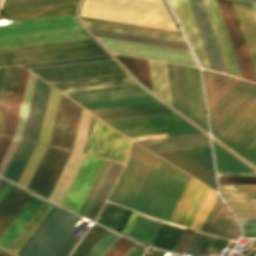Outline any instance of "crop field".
I'll list each match as a JSON object with an SVG mask.
<instances>
[{"instance_id": "447ae74e", "label": "crop field", "mask_w": 256, "mask_h": 256, "mask_svg": "<svg viewBox=\"0 0 256 256\" xmlns=\"http://www.w3.org/2000/svg\"><path fill=\"white\" fill-rule=\"evenodd\" d=\"M236 218H256V204H228Z\"/></svg>"}, {"instance_id": "c035e120", "label": "crop field", "mask_w": 256, "mask_h": 256, "mask_svg": "<svg viewBox=\"0 0 256 256\" xmlns=\"http://www.w3.org/2000/svg\"><path fill=\"white\" fill-rule=\"evenodd\" d=\"M19 66L6 67L0 89V132L2 133Z\"/></svg>"}, {"instance_id": "cbeb9de0", "label": "crop field", "mask_w": 256, "mask_h": 256, "mask_svg": "<svg viewBox=\"0 0 256 256\" xmlns=\"http://www.w3.org/2000/svg\"><path fill=\"white\" fill-rule=\"evenodd\" d=\"M132 141L95 120L87 154L124 163Z\"/></svg>"}, {"instance_id": "5142ce71", "label": "crop field", "mask_w": 256, "mask_h": 256, "mask_svg": "<svg viewBox=\"0 0 256 256\" xmlns=\"http://www.w3.org/2000/svg\"><path fill=\"white\" fill-rule=\"evenodd\" d=\"M69 154L48 146L27 189L47 199Z\"/></svg>"}, {"instance_id": "db79e9e6", "label": "crop field", "mask_w": 256, "mask_h": 256, "mask_svg": "<svg viewBox=\"0 0 256 256\" xmlns=\"http://www.w3.org/2000/svg\"><path fill=\"white\" fill-rule=\"evenodd\" d=\"M237 220L242 229V237H256V219Z\"/></svg>"}, {"instance_id": "c3a83c6f", "label": "crop field", "mask_w": 256, "mask_h": 256, "mask_svg": "<svg viewBox=\"0 0 256 256\" xmlns=\"http://www.w3.org/2000/svg\"><path fill=\"white\" fill-rule=\"evenodd\" d=\"M11 183H7V185L4 187V189L0 192V199L4 196V194L8 191V189L11 187Z\"/></svg>"}, {"instance_id": "7b73153f", "label": "crop field", "mask_w": 256, "mask_h": 256, "mask_svg": "<svg viewBox=\"0 0 256 256\" xmlns=\"http://www.w3.org/2000/svg\"><path fill=\"white\" fill-rule=\"evenodd\" d=\"M219 184H256V177H218Z\"/></svg>"}, {"instance_id": "028f5c9d", "label": "crop field", "mask_w": 256, "mask_h": 256, "mask_svg": "<svg viewBox=\"0 0 256 256\" xmlns=\"http://www.w3.org/2000/svg\"><path fill=\"white\" fill-rule=\"evenodd\" d=\"M95 36L190 51L187 44L88 28Z\"/></svg>"}, {"instance_id": "00972430", "label": "crop field", "mask_w": 256, "mask_h": 256, "mask_svg": "<svg viewBox=\"0 0 256 256\" xmlns=\"http://www.w3.org/2000/svg\"><path fill=\"white\" fill-rule=\"evenodd\" d=\"M50 86L36 79L30 108L23 132V139L37 142Z\"/></svg>"}, {"instance_id": "f0312440", "label": "crop field", "mask_w": 256, "mask_h": 256, "mask_svg": "<svg viewBox=\"0 0 256 256\" xmlns=\"http://www.w3.org/2000/svg\"><path fill=\"white\" fill-rule=\"evenodd\" d=\"M0 137H1V135H0Z\"/></svg>"}, {"instance_id": "92a150f3", "label": "crop field", "mask_w": 256, "mask_h": 256, "mask_svg": "<svg viewBox=\"0 0 256 256\" xmlns=\"http://www.w3.org/2000/svg\"><path fill=\"white\" fill-rule=\"evenodd\" d=\"M81 27L75 16H62L0 25V36Z\"/></svg>"}, {"instance_id": "4177f3b9", "label": "crop field", "mask_w": 256, "mask_h": 256, "mask_svg": "<svg viewBox=\"0 0 256 256\" xmlns=\"http://www.w3.org/2000/svg\"><path fill=\"white\" fill-rule=\"evenodd\" d=\"M231 1L256 73V16L252 4Z\"/></svg>"}, {"instance_id": "7312dd0a", "label": "crop field", "mask_w": 256, "mask_h": 256, "mask_svg": "<svg viewBox=\"0 0 256 256\" xmlns=\"http://www.w3.org/2000/svg\"><path fill=\"white\" fill-rule=\"evenodd\" d=\"M0 256H11V254L0 249Z\"/></svg>"}, {"instance_id": "b54c1fbb", "label": "crop field", "mask_w": 256, "mask_h": 256, "mask_svg": "<svg viewBox=\"0 0 256 256\" xmlns=\"http://www.w3.org/2000/svg\"><path fill=\"white\" fill-rule=\"evenodd\" d=\"M148 64L153 92L171 104L165 64L150 61Z\"/></svg>"}, {"instance_id": "180be81f", "label": "crop field", "mask_w": 256, "mask_h": 256, "mask_svg": "<svg viewBox=\"0 0 256 256\" xmlns=\"http://www.w3.org/2000/svg\"><path fill=\"white\" fill-rule=\"evenodd\" d=\"M253 4V7H254V10H255V13H256V3H252Z\"/></svg>"}, {"instance_id": "1d83c4d3", "label": "crop field", "mask_w": 256, "mask_h": 256, "mask_svg": "<svg viewBox=\"0 0 256 256\" xmlns=\"http://www.w3.org/2000/svg\"><path fill=\"white\" fill-rule=\"evenodd\" d=\"M84 155L71 153L50 197L49 200L60 205L71 181L73 180Z\"/></svg>"}, {"instance_id": "e1d0b9f6", "label": "crop field", "mask_w": 256, "mask_h": 256, "mask_svg": "<svg viewBox=\"0 0 256 256\" xmlns=\"http://www.w3.org/2000/svg\"><path fill=\"white\" fill-rule=\"evenodd\" d=\"M11 140H12V137L2 135V137L0 139V161H1L5 151L7 150Z\"/></svg>"}, {"instance_id": "819c52e7", "label": "crop field", "mask_w": 256, "mask_h": 256, "mask_svg": "<svg viewBox=\"0 0 256 256\" xmlns=\"http://www.w3.org/2000/svg\"><path fill=\"white\" fill-rule=\"evenodd\" d=\"M13 256V255H12Z\"/></svg>"}, {"instance_id": "5d738f31", "label": "crop field", "mask_w": 256, "mask_h": 256, "mask_svg": "<svg viewBox=\"0 0 256 256\" xmlns=\"http://www.w3.org/2000/svg\"><path fill=\"white\" fill-rule=\"evenodd\" d=\"M216 158L217 171H253L232 154L212 141Z\"/></svg>"}, {"instance_id": "d14b1444", "label": "crop field", "mask_w": 256, "mask_h": 256, "mask_svg": "<svg viewBox=\"0 0 256 256\" xmlns=\"http://www.w3.org/2000/svg\"><path fill=\"white\" fill-rule=\"evenodd\" d=\"M193 233L194 230L186 228L177 246L183 249V247L185 246V244L190 239Z\"/></svg>"}, {"instance_id": "d32e631a", "label": "crop field", "mask_w": 256, "mask_h": 256, "mask_svg": "<svg viewBox=\"0 0 256 256\" xmlns=\"http://www.w3.org/2000/svg\"><path fill=\"white\" fill-rule=\"evenodd\" d=\"M43 199L33 195L29 202L25 205L22 211L18 214L15 220L7 228L4 234L0 237V247L6 249L10 242L14 239L17 233L21 230L24 224L32 216L35 210L42 203Z\"/></svg>"}, {"instance_id": "d23c7cc5", "label": "crop field", "mask_w": 256, "mask_h": 256, "mask_svg": "<svg viewBox=\"0 0 256 256\" xmlns=\"http://www.w3.org/2000/svg\"><path fill=\"white\" fill-rule=\"evenodd\" d=\"M231 149L256 167V124Z\"/></svg>"}, {"instance_id": "120bbe31", "label": "crop field", "mask_w": 256, "mask_h": 256, "mask_svg": "<svg viewBox=\"0 0 256 256\" xmlns=\"http://www.w3.org/2000/svg\"><path fill=\"white\" fill-rule=\"evenodd\" d=\"M74 6L75 4L46 7V8H37V9H28V10H19V11H11V12H2L0 13V19L14 18V21H18V20L53 17V16H61V15H70V14H74Z\"/></svg>"}, {"instance_id": "0f1d7ab4", "label": "crop field", "mask_w": 256, "mask_h": 256, "mask_svg": "<svg viewBox=\"0 0 256 256\" xmlns=\"http://www.w3.org/2000/svg\"><path fill=\"white\" fill-rule=\"evenodd\" d=\"M81 19L90 20V21H96V22L109 23V24L122 25V26H128V27L141 28V29H147V30H154V31H160V32H167V33H173V34L181 35V33H177V32H171V31H165V30H159V29H152V28H146V27H140V26H134V25H127V24H121V23H115V22H109V21H102V20H96V19H90V18H84V17H81Z\"/></svg>"}, {"instance_id": "412701ff", "label": "crop field", "mask_w": 256, "mask_h": 256, "mask_svg": "<svg viewBox=\"0 0 256 256\" xmlns=\"http://www.w3.org/2000/svg\"><path fill=\"white\" fill-rule=\"evenodd\" d=\"M79 219L55 206L18 256H67L79 239L72 234Z\"/></svg>"}, {"instance_id": "e1f06a70", "label": "crop field", "mask_w": 256, "mask_h": 256, "mask_svg": "<svg viewBox=\"0 0 256 256\" xmlns=\"http://www.w3.org/2000/svg\"><path fill=\"white\" fill-rule=\"evenodd\" d=\"M86 27L186 43L183 36L82 20Z\"/></svg>"}, {"instance_id": "4a817a6b", "label": "crop field", "mask_w": 256, "mask_h": 256, "mask_svg": "<svg viewBox=\"0 0 256 256\" xmlns=\"http://www.w3.org/2000/svg\"><path fill=\"white\" fill-rule=\"evenodd\" d=\"M103 163V160L85 156L74 180L72 181L61 203V206L78 214Z\"/></svg>"}, {"instance_id": "1f2cbd36", "label": "crop field", "mask_w": 256, "mask_h": 256, "mask_svg": "<svg viewBox=\"0 0 256 256\" xmlns=\"http://www.w3.org/2000/svg\"><path fill=\"white\" fill-rule=\"evenodd\" d=\"M47 146L37 144L19 181L18 184L27 187L36 167L38 166Z\"/></svg>"}, {"instance_id": "dbb93151", "label": "crop field", "mask_w": 256, "mask_h": 256, "mask_svg": "<svg viewBox=\"0 0 256 256\" xmlns=\"http://www.w3.org/2000/svg\"><path fill=\"white\" fill-rule=\"evenodd\" d=\"M106 229L94 225L88 234L79 243L72 256H85L86 253L92 248V246L98 241V239L104 234Z\"/></svg>"}, {"instance_id": "b80d0937", "label": "crop field", "mask_w": 256, "mask_h": 256, "mask_svg": "<svg viewBox=\"0 0 256 256\" xmlns=\"http://www.w3.org/2000/svg\"><path fill=\"white\" fill-rule=\"evenodd\" d=\"M35 143L21 140L13 158L11 159L3 177L17 182Z\"/></svg>"}, {"instance_id": "9d1cf04e", "label": "crop field", "mask_w": 256, "mask_h": 256, "mask_svg": "<svg viewBox=\"0 0 256 256\" xmlns=\"http://www.w3.org/2000/svg\"><path fill=\"white\" fill-rule=\"evenodd\" d=\"M112 59L109 56L22 65L27 69Z\"/></svg>"}, {"instance_id": "214f88e0", "label": "crop field", "mask_w": 256, "mask_h": 256, "mask_svg": "<svg viewBox=\"0 0 256 256\" xmlns=\"http://www.w3.org/2000/svg\"><path fill=\"white\" fill-rule=\"evenodd\" d=\"M88 38L82 28L0 37V48Z\"/></svg>"}, {"instance_id": "bc2a9ffb", "label": "crop field", "mask_w": 256, "mask_h": 256, "mask_svg": "<svg viewBox=\"0 0 256 256\" xmlns=\"http://www.w3.org/2000/svg\"><path fill=\"white\" fill-rule=\"evenodd\" d=\"M123 165L105 161L79 215L95 220Z\"/></svg>"}, {"instance_id": "c21b1889", "label": "crop field", "mask_w": 256, "mask_h": 256, "mask_svg": "<svg viewBox=\"0 0 256 256\" xmlns=\"http://www.w3.org/2000/svg\"><path fill=\"white\" fill-rule=\"evenodd\" d=\"M256 123V104L219 140L230 148Z\"/></svg>"}, {"instance_id": "a9b5d70f", "label": "crop field", "mask_w": 256, "mask_h": 256, "mask_svg": "<svg viewBox=\"0 0 256 256\" xmlns=\"http://www.w3.org/2000/svg\"><path fill=\"white\" fill-rule=\"evenodd\" d=\"M201 231L237 240L238 228L219 195L208 214Z\"/></svg>"}, {"instance_id": "5a996713", "label": "crop field", "mask_w": 256, "mask_h": 256, "mask_svg": "<svg viewBox=\"0 0 256 256\" xmlns=\"http://www.w3.org/2000/svg\"><path fill=\"white\" fill-rule=\"evenodd\" d=\"M63 93L87 110L158 101L137 84Z\"/></svg>"}, {"instance_id": "e52e79f7", "label": "crop field", "mask_w": 256, "mask_h": 256, "mask_svg": "<svg viewBox=\"0 0 256 256\" xmlns=\"http://www.w3.org/2000/svg\"><path fill=\"white\" fill-rule=\"evenodd\" d=\"M157 158L133 143L127 163L108 200L132 209Z\"/></svg>"}, {"instance_id": "425ffa30", "label": "crop field", "mask_w": 256, "mask_h": 256, "mask_svg": "<svg viewBox=\"0 0 256 256\" xmlns=\"http://www.w3.org/2000/svg\"><path fill=\"white\" fill-rule=\"evenodd\" d=\"M145 86L151 88L147 61L116 56Z\"/></svg>"}, {"instance_id": "730fd06b", "label": "crop field", "mask_w": 256, "mask_h": 256, "mask_svg": "<svg viewBox=\"0 0 256 256\" xmlns=\"http://www.w3.org/2000/svg\"><path fill=\"white\" fill-rule=\"evenodd\" d=\"M33 194L12 185L0 201V236L21 211Z\"/></svg>"}, {"instance_id": "dd49c442", "label": "crop field", "mask_w": 256, "mask_h": 256, "mask_svg": "<svg viewBox=\"0 0 256 256\" xmlns=\"http://www.w3.org/2000/svg\"><path fill=\"white\" fill-rule=\"evenodd\" d=\"M106 54L90 39L0 49V66Z\"/></svg>"}, {"instance_id": "8a807250", "label": "crop field", "mask_w": 256, "mask_h": 256, "mask_svg": "<svg viewBox=\"0 0 256 256\" xmlns=\"http://www.w3.org/2000/svg\"><path fill=\"white\" fill-rule=\"evenodd\" d=\"M168 2L182 30L184 31L201 67L209 68V65H210V68L212 70H215L218 72L222 70L225 73H227V70H228V73L230 75L241 77L238 65L236 63V60H235V57H234V54H233L229 39L227 37L215 0H204V3L206 6L208 15L210 17L227 70H226L222 55L220 53L203 0H187V2L190 8L193 20L195 22L200 40L202 42L207 60L209 62V65L206 60V57H205L201 42L199 40L186 0H168Z\"/></svg>"}, {"instance_id": "d9b57169", "label": "crop field", "mask_w": 256, "mask_h": 256, "mask_svg": "<svg viewBox=\"0 0 256 256\" xmlns=\"http://www.w3.org/2000/svg\"><path fill=\"white\" fill-rule=\"evenodd\" d=\"M243 79L256 82V76L230 0H216Z\"/></svg>"}, {"instance_id": "d1516ede", "label": "crop field", "mask_w": 256, "mask_h": 256, "mask_svg": "<svg viewBox=\"0 0 256 256\" xmlns=\"http://www.w3.org/2000/svg\"><path fill=\"white\" fill-rule=\"evenodd\" d=\"M154 153L217 191L210 146Z\"/></svg>"}, {"instance_id": "89e229c0", "label": "crop field", "mask_w": 256, "mask_h": 256, "mask_svg": "<svg viewBox=\"0 0 256 256\" xmlns=\"http://www.w3.org/2000/svg\"><path fill=\"white\" fill-rule=\"evenodd\" d=\"M35 79H36V76H34L33 74L30 73L28 82H27V86H26V90H25V94H24V98H23V102H22V106H21V110H20V114H19V118H18V122H17V126H16V130H15V134H14V136H16V137L21 138V136H22V132H23V128H24V124H25V120H26V116H27V112H28V107H29Z\"/></svg>"}, {"instance_id": "c39391a2", "label": "crop field", "mask_w": 256, "mask_h": 256, "mask_svg": "<svg viewBox=\"0 0 256 256\" xmlns=\"http://www.w3.org/2000/svg\"><path fill=\"white\" fill-rule=\"evenodd\" d=\"M218 176H256V172H217Z\"/></svg>"}, {"instance_id": "25e5ab78", "label": "crop field", "mask_w": 256, "mask_h": 256, "mask_svg": "<svg viewBox=\"0 0 256 256\" xmlns=\"http://www.w3.org/2000/svg\"><path fill=\"white\" fill-rule=\"evenodd\" d=\"M126 209L106 202L99 218L98 222H101L115 230H117Z\"/></svg>"}, {"instance_id": "ae1a2a85", "label": "crop field", "mask_w": 256, "mask_h": 256, "mask_svg": "<svg viewBox=\"0 0 256 256\" xmlns=\"http://www.w3.org/2000/svg\"><path fill=\"white\" fill-rule=\"evenodd\" d=\"M135 83L127 74L51 82L60 91Z\"/></svg>"}, {"instance_id": "733c2abd", "label": "crop field", "mask_w": 256, "mask_h": 256, "mask_svg": "<svg viewBox=\"0 0 256 256\" xmlns=\"http://www.w3.org/2000/svg\"><path fill=\"white\" fill-rule=\"evenodd\" d=\"M81 111L82 108L61 96L49 145L72 151Z\"/></svg>"}, {"instance_id": "0765c3eb", "label": "crop field", "mask_w": 256, "mask_h": 256, "mask_svg": "<svg viewBox=\"0 0 256 256\" xmlns=\"http://www.w3.org/2000/svg\"><path fill=\"white\" fill-rule=\"evenodd\" d=\"M133 244L134 242L121 236L105 256H124Z\"/></svg>"}, {"instance_id": "0bd39190", "label": "crop field", "mask_w": 256, "mask_h": 256, "mask_svg": "<svg viewBox=\"0 0 256 256\" xmlns=\"http://www.w3.org/2000/svg\"><path fill=\"white\" fill-rule=\"evenodd\" d=\"M226 203H256V185H219Z\"/></svg>"}, {"instance_id": "fb207236", "label": "crop field", "mask_w": 256, "mask_h": 256, "mask_svg": "<svg viewBox=\"0 0 256 256\" xmlns=\"http://www.w3.org/2000/svg\"><path fill=\"white\" fill-rule=\"evenodd\" d=\"M7 181L0 179V191L3 189V187L6 185Z\"/></svg>"}, {"instance_id": "bd1437ed", "label": "crop field", "mask_w": 256, "mask_h": 256, "mask_svg": "<svg viewBox=\"0 0 256 256\" xmlns=\"http://www.w3.org/2000/svg\"><path fill=\"white\" fill-rule=\"evenodd\" d=\"M28 74H29V72L27 70H25L22 67L19 68V72H18V76H17V80H16V84H15V88H14V92H13V96H12V100H11L5 128H4V132H3L4 134H8V135H12V136L14 134V130H15V126H16V122H17V118H18V114H19V110H20V106H21V102H22V98H23V94H24V90H25V86H26V82H27V78H28Z\"/></svg>"}, {"instance_id": "34b2d1b8", "label": "crop field", "mask_w": 256, "mask_h": 256, "mask_svg": "<svg viewBox=\"0 0 256 256\" xmlns=\"http://www.w3.org/2000/svg\"><path fill=\"white\" fill-rule=\"evenodd\" d=\"M189 177L158 159L134 210L168 221Z\"/></svg>"}, {"instance_id": "c5b07064", "label": "crop field", "mask_w": 256, "mask_h": 256, "mask_svg": "<svg viewBox=\"0 0 256 256\" xmlns=\"http://www.w3.org/2000/svg\"><path fill=\"white\" fill-rule=\"evenodd\" d=\"M136 214H137V213H135V212L132 213V215H131V217H130V219H129V221H128V223H127V225H126V227H125V229H124V231H123V234H125V235L127 234V232H128V230H129V228H130V226H131V224H132V222H133V220H134Z\"/></svg>"}, {"instance_id": "28ad6ade", "label": "crop field", "mask_w": 256, "mask_h": 256, "mask_svg": "<svg viewBox=\"0 0 256 256\" xmlns=\"http://www.w3.org/2000/svg\"><path fill=\"white\" fill-rule=\"evenodd\" d=\"M217 195L190 177L169 222L200 230Z\"/></svg>"}, {"instance_id": "d8731c3e", "label": "crop field", "mask_w": 256, "mask_h": 256, "mask_svg": "<svg viewBox=\"0 0 256 256\" xmlns=\"http://www.w3.org/2000/svg\"><path fill=\"white\" fill-rule=\"evenodd\" d=\"M256 103V84L240 81L210 111L211 134L218 139Z\"/></svg>"}, {"instance_id": "22f410ed", "label": "crop field", "mask_w": 256, "mask_h": 256, "mask_svg": "<svg viewBox=\"0 0 256 256\" xmlns=\"http://www.w3.org/2000/svg\"><path fill=\"white\" fill-rule=\"evenodd\" d=\"M96 38L113 53L198 67L191 52Z\"/></svg>"}, {"instance_id": "1d79db26", "label": "crop field", "mask_w": 256, "mask_h": 256, "mask_svg": "<svg viewBox=\"0 0 256 256\" xmlns=\"http://www.w3.org/2000/svg\"><path fill=\"white\" fill-rule=\"evenodd\" d=\"M90 117H91V114H89L85 110L82 111L80 124H79V128H78L77 136H76V141H75V145H74V149H73V151H75V152L82 153V151H83Z\"/></svg>"}, {"instance_id": "0fb4a251", "label": "crop field", "mask_w": 256, "mask_h": 256, "mask_svg": "<svg viewBox=\"0 0 256 256\" xmlns=\"http://www.w3.org/2000/svg\"><path fill=\"white\" fill-rule=\"evenodd\" d=\"M119 237L120 235L107 230L86 256H104Z\"/></svg>"}, {"instance_id": "d3111659", "label": "crop field", "mask_w": 256, "mask_h": 256, "mask_svg": "<svg viewBox=\"0 0 256 256\" xmlns=\"http://www.w3.org/2000/svg\"><path fill=\"white\" fill-rule=\"evenodd\" d=\"M54 206L44 200L6 250L17 255Z\"/></svg>"}, {"instance_id": "ade564c9", "label": "crop field", "mask_w": 256, "mask_h": 256, "mask_svg": "<svg viewBox=\"0 0 256 256\" xmlns=\"http://www.w3.org/2000/svg\"><path fill=\"white\" fill-rule=\"evenodd\" d=\"M94 120H95V117L92 116L91 117V121H90V125H89V130H88L87 138H86V143H85L84 151H83V153H85V154L87 152V148H88V144H89V140H90V136H91Z\"/></svg>"}, {"instance_id": "78b8030e", "label": "crop field", "mask_w": 256, "mask_h": 256, "mask_svg": "<svg viewBox=\"0 0 256 256\" xmlns=\"http://www.w3.org/2000/svg\"><path fill=\"white\" fill-rule=\"evenodd\" d=\"M20 140L19 139H15L13 138L5 156L3 157L1 163H0V177H2L10 159L12 158L18 144H19Z\"/></svg>"}, {"instance_id": "03da06ac", "label": "crop field", "mask_w": 256, "mask_h": 256, "mask_svg": "<svg viewBox=\"0 0 256 256\" xmlns=\"http://www.w3.org/2000/svg\"><path fill=\"white\" fill-rule=\"evenodd\" d=\"M60 95L61 93H59L58 91L54 90L53 88L50 89L45 115L38 140L39 143L47 145L49 143Z\"/></svg>"}, {"instance_id": "eef30255", "label": "crop field", "mask_w": 256, "mask_h": 256, "mask_svg": "<svg viewBox=\"0 0 256 256\" xmlns=\"http://www.w3.org/2000/svg\"><path fill=\"white\" fill-rule=\"evenodd\" d=\"M202 73L209 110L240 81L208 70Z\"/></svg>"}, {"instance_id": "73cf0c24", "label": "crop field", "mask_w": 256, "mask_h": 256, "mask_svg": "<svg viewBox=\"0 0 256 256\" xmlns=\"http://www.w3.org/2000/svg\"><path fill=\"white\" fill-rule=\"evenodd\" d=\"M214 239L215 236L195 231L191 239L184 247V250L192 254H199L204 256Z\"/></svg>"}, {"instance_id": "3316defc", "label": "crop field", "mask_w": 256, "mask_h": 256, "mask_svg": "<svg viewBox=\"0 0 256 256\" xmlns=\"http://www.w3.org/2000/svg\"><path fill=\"white\" fill-rule=\"evenodd\" d=\"M108 124L134 141L171 137V134L199 131L178 114L109 122ZM199 133L201 132L176 134L174 136Z\"/></svg>"}, {"instance_id": "f4fd0767", "label": "crop field", "mask_w": 256, "mask_h": 256, "mask_svg": "<svg viewBox=\"0 0 256 256\" xmlns=\"http://www.w3.org/2000/svg\"><path fill=\"white\" fill-rule=\"evenodd\" d=\"M166 67L172 106L208 132L199 69Z\"/></svg>"}, {"instance_id": "5866460e", "label": "crop field", "mask_w": 256, "mask_h": 256, "mask_svg": "<svg viewBox=\"0 0 256 256\" xmlns=\"http://www.w3.org/2000/svg\"><path fill=\"white\" fill-rule=\"evenodd\" d=\"M162 221L137 214L127 236L151 245Z\"/></svg>"}, {"instance_id": "ac0d7876", "label": "crop field", "mask_w": 256, "mask_h": 256, "mask_svg": "<svg viewBox=\"0 0 256 256\" xmlns=\"http://www.w3.org/2000/svg\"><path fill=\"white\" fill-rule=\"evenodd\" d=\"M161 1L179 31L164 0ZM161 1L85 0L82 16L176 31Z\"/></svg>"}, {"instance_id": "1f1604b0", "label": "crop field", "mask_w": 256, "mask_h": 256, "mask_svg": "<svg viewBox=\"0 0 256 256\" xmlns=\"http://www.w3.org/2000/svg\"><path fill=\"white\" fill-rule=\"evenodd\" d=\"M0 2H1V0H0Z\"/></svg>"}, {"instance_id": "750c4746", "label": "crop field", "mask_w": 256, "mask_h": 256, "mask_svg": "<svg viewBox=\"0 0 256 256\" xmlns=\"http://www.w3.org/2000/svg\"><path fill=\"white\" fill-rule=\"evenodd\" d=\"M138 143L151 151L210 145L208 137L204 134L139 141Z\"/></svg>"}, {"instance_id": "ae633e8c", "label": "crop field", "mask_w": 256, "mask_h": 256, "mask_svg": "<svg viewBox=\"0 0 256 256\" xmlns=\"http://www.w3.org/2000/svg\"><path fill=\"white\" fill-rule=\"evenodd\" d=\"M225 242H226V239L216 237V239L214 240V242L211 245V247L209 248V250L220 253Z\"/></svg>"}, {"instance_id": "dafd665d", "label": "crop field", "mask_w": 256, "mask_h": 256, "mask_svg": "<svg viewBox=\"0 0 256 256\" xmlns=\"http://www.w3.org/2000/svg\"><path fill=\"white\" fill-rule=\"evenodd\" d=\"M90 112L104 122L174 113L161 102L92 110Z\"/></svg>"}]
</instances>
